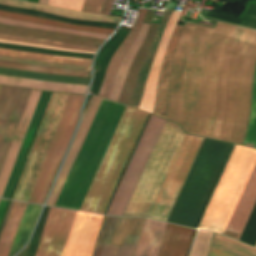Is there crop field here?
Returning a JSON list of instances; mask_svg holds the SVG:
<instances>
[{"label":"crop field","mask_w":256,"mask_h":256,"mask_svg":"<svg viewBox=\"0 0 256 256\" xmlns=\"http://www.w3.org/2000/svg\"><path fill=\"white\" fill-rule=\"evenodd\" d=\"M256 65V30L185 22L170 81L167 119L185 132L242 144ZM256 148V72L244 145Z\"/></svg>","instance_id":"crop-field-1"},{"label":"crop field","mask_w":256,"mask_h":256,"mask_svg":"<svg viewBox=\"0 0 256 256\" xmlns=\"http://www.w3.org/2000/svg\"><path fill=\"white\" fill-rule=\"evenodd\" d=\"M125 107L102 100L54 206L80 209Z\"/></svg>","instance_id":"crop-field-2"},{"label":"crop field","mask_w":256,"mask_h":256,"mask_svg":"<svg viewBox=\"0 0 256 256\" xmlns=\"http://www.w3.org/2000/svg\"><path fill=\"white\" fill-rule=\"evenodd\" d=\"M232 146L204 140L167 221L196 227Z\"/></svg>","instance_id":"crop-field-3"},{"label":"crop field","mask_w":256,"mask_h":256,"mask_svg":"<svg viewBox=\"0 0 256 256\" xmlns=\"http://www.w3.org/2000/svg\"><path fill=\"white\" fill-rule=\"evenodd\" d=\"M148 115L126 107L98 169L99 172L121 176ZM99 172L80 210L104 213L119 177Z\"/></svg>","instance_id":"crop-field-4"},{"label":"crop field","mask_w":256,"mask_h":256,"mask_svg":"<svg viewBox=\"0 0 256 256\" xmlns=\"http://www.w3.org/2000/svg\"><path fill=\"white\" fill-rule=\"evenodd\" d=\"M75 212L50 208L36 256H62ZM103 217L77 211L63 256H91Z\"/></svg>","instance_id":"crop-field-5"},{"label":"crop field","mask_w":256,"mask_h":256,"mask_svg":"<svg viewBox=\"0 0 256 256\" xmlns=\"http://www.w3.org/2000/svg\"><path fill=\"white\" fill-rule=\"evenodd\" d=\"M255 161V150L235 147L199 228L223 233Z\"/></svg>","instance_id":"crop-field-6"},{"label":"crop field","mask_w":256,"mask_h":256,"mask_svg":"<svg viewBox=\"0 0 256 256\" xmlns=\"http://www.w3.org/2000/svg\"><path fill=\"white\" fill-rule=\"evenodd\" d=\"M184 133L166 121L130 201L152 202ZM130 202L124 215L146 216L152 203Z\"/></svg>","instance_id":"crop-field-7"},{"label":"crop field","mask_w":256,"mask_h":256,"mask_svg":"<svg viewBox=\"0 0 256 256\" xmlns=\"http://www.w3.org/2000/svg\"><path fill=\"white\" fill-rule=\"evenodd\" d=\"M81 95L70 94L28 202L42 204L67 150L80 113Z\"/></svg>","instance_id":"crop-field-8"},{"label":"crop field","mask_w":256,"mask_h":256,"mask_svg":"<svg viewBox=\"0 0 256 256\" xmlns=\"http://www.w3.org/2000/svg\"><path fill=\"white\" fill-rule=\"evenodd\" d=\"M68 95L52 94L12 199L28 201Z\"/></svg>","instance_id":"crop-field-9"},{"label":"crop field","mask_w":256,"mask_h":256,"mask_svg":"<svg viewBox=\"0 0 256 256\" xmlns=\"http://www.w3.org/2000/svg\"><path fill=\"white\" fill-rule=\"evenodd\" d=\"M202 141L184 135L147 216L167 220Z\"/></svg>","instance_id":"crop-field-10"},{"label":"crop field","mask_w":256,"mask_h":256,"mask_svg":"<svg viewBox=\"0 0 256 256\" xmlns=\"http://www.w3.org/2000/svg\"><path fill=\"white\" fill-rule=\"evenodd\" d=\"M165 121L150 115L106 214H123Z\"/></svg>","instance_id":"crop-field-11"},{"label":"crop field","mask_w":256,"mask_h":256,"mask_svg":"<svg viewBox=\"0 0 256 256\" xmlns=\"http://www.w3.org/2000/svg\"><path fill=\"white\" fill-rule=\"evenodd\" d=\"M119 218L114 216L105 217L93 256H133L139 235L128 234V232L140 234L145 218L121 217L120 221ZM112 240L126 241V243L112 242Z\"/></svg>","instance_id":"crop-field-12"},{"label":"crop field","mask_w":256,"mask_h":256,"mask_svg":"<svg viewBox=\"0 0 256 256\" xmlns=\"http://www.w3.org/2000/svg\"><path fill=\"white\" fill-rule=\"evenodd\" d=\"M31 90L3 86L0 92V171Z\"/></svg>","instance_id":"crop-field-13"},{"label":"crop field","mask_w":256,"mask_h":256,"mask_svg":"<svg viewBox=\"0 0 256 256\" xmlns=\"http://www.w3.org/2000/svg\"><path fill=\"white\" fill-rule=\"evenodd\" d=\"M256 201V164L239 198L224 235L239 239Z\"/></svg>","instance_id":"crop-field-14"},{"label":"crop field","mask_w":256,"mask_h":256,"mask_svg":"<svg viewBox=\"0 0 256 256\" xmlns=\"http://www.w3.org/2000/svg\"><path fill=\"white\" fill-rule=\"evenodd\" d=\"M101 100L102 99L99 97H94V96L91 97L89 104L86 108V111L83 115L82 121L80 123L79 129L74 139L73 145L71 147L69 156L58 176V179L54 185V188L51 192V195L46 205H50V206L54 205Z\"/></svg>","instance_id":"crop-field-15"},{"label":"crop field","mask_w":256,"mask_h":256,"mask_svg":"<svg viewBox=\"0 0 256 256\" xmlns=\"http://www.w3.org/2000/svg\"><path fill=\"white\" fill-rule=\"evenodd\" d=\"M182 26L176 25L171 41L161 65L160 75L157 84L156 97L153 114L166 119L168 111L169 80L175 47L179 38Z\"/></svg>","instance_id":"crop-field-16"},{"label":"crop field","mask_w":256,"mask_h":256,"mask_svg":"<svg viewBox=\"0 0 256 256\" xmlns=\"http://www.w3.org/2000/svg\"><path fill=\"white\" fill-rule=\"evenodd\" d=\"M180 14H181V12H178V11L173 12L172 17L169 21V24L166 28V31L162 37V40L159 45L158 51L156 53L155 59L153 61L149 77L146 81L143 97H142L141 104H140L139 108L142 110L148 111L150 113L152 112V108H153L156 84H157L161 61L164 57L171 34L173 32V29L175 27V24L180 16Z\"/></svg>","instance_id":"crop-field-17"},{"label":"crop field","mask_w":256,"mask_h":256,"mask_svg":"<svg viewBox=\"0 0 256 256\" xmlns=\"http://www.w3.org/2000/svg\"><path fill=\"white\" fill-rule=\"evenodd\" d=\"M40 92L41 91L32 90L29 96L28 102L26 104L25 110L23 112L22 118L20 120L19 126L17 128L16 134L14 136L13 142L11 144L10 150L8 152L7 158L0 174V197L2 196V193L4 191L5 185L7 183L8 177L10 175L11 169L13 167L14 161L16 159L17 153L19 151L20 145L22 143Z\"/></svg>","instance_id":"crop-field-18"},{"label":"crop field","mask_w":256,"mask_h":256,"mask_svg":"<svg viewBox=\"0 0 256 256\" xmlns=\"http://www.w3.org/2000/svg\"><path fill=\"white\" fill-rule=\"evenodd\" d=\"M194 231L168 223L158 256H186Z\"/></svg>","instance_id":"crop-field-19"},{"label":"crop field","mask_w":256,"mask_h":256,"mask_svg":"<svg viewBox=\"0 0 256 256\" xmlns=\"http://www.w3.org/2000/svg\"><path fill=\"white\" fill-rule=\"evenodd\" d=\"M172 12H173L172 10H166V12L160 22V26L157 30L154 40L150 46V49L146 55V58L142 64V66H141L135 87L133 89L130 101L128 103L129 105H132L137 108L139 107L143 89H144V85H145V81L148 77L149 70H150L152 61L154 59L155 53L157 51L158 45L160 43L163 31L165 29V26L171 16Z\"/></svg>","instance_id":"crop-field-20"},{"label":"crop field","mask_w":256,"mask_h":256,"mask_svg":"<svg viewBox=\"0 0 256 256\" xmlns=\"http://www.w3.org/2000/svg\"><path fill=\"white\" fill-rule=\"evenodd\" d=\"M166 224L146 218L134 256H156Z\"/></svg>","instance_id":"crop-field-21"},{"label":"crop field","mask_w":256,"mask_h":256,"mask_svg":"<svg viewBox=\"0 0 256 256\" xmlns=\"http://www.w3.org/2000/svg\"><path fill=\"white\" fill-rule=\"evenodd\" d=\"M146 12H147V10H144V9L139 10L137 19L133 25V28H132L130 34L121 43V45L119 46V48L113 55L109 65H108L99 96H103L106 98L108 97V94H109L113 79L115 77L117 68H118L121 60L123 59L125 53L127 52L128 48L130 47L131 43L135 39Z\"/></svg>","instance_id":"crop-field-22"},{"label":"crop field","mask_w":256,"mask_h":256,"mask_svg":"<svg viewBox=\"0 0 256 256\" xmlns=\"http://www.w3.org/2000/svg\"><path fill=\"white\" fill-rule=\"evenodd\" d=\"M27 204L10 202L0 229V256H7Z\"/></svg>","instance_id":"crop-field-23"},{"label":"crop field","mask_w":256,"mask_h":256,"mask_svg":"<svg viewBox=\"0 0 256 256\" xmlns=\"http://www.w3.org/2000/svg\"><path fill=\"white\" fill-rule=\"evenodd\" d=\"M0 32L21 35V36H28V37L53 39V40H59V41L68 42V43H75V44L95 46V47H99L103 42L102 40H97V39H92L87 37H80V36L41 31V30L16 28V27L4 26V25H0Z\"/></svg>","instance_id":"crop-field-24"},{"label":"crop field","mask_w":256,"mask_h":256,"mask_svg":"<svg viewBox=\"0 0 256 256\" xmlns=\"http://www.w3.org/2000/svg\"><path fill=\"white\" fill-rule=\"evenodd\" d=\"M0 4L12 5L20 8H28V9H35L40 10L68 18L73 19H81V20H89V21H107V22H115L118 23L120 18L106 16V15H98V14H91V13H84L72 10H66L61 8L49 7L35 3L17 1V0H0Z\"/></svg>","instance_id":"crop-field-25"},{"label":"crop field","mask_w":256,"mask_h":256,"mask_svg":"<svg viewBox=\"0 0 256 256\" xmlns=\"http://www.w3.org/2000/svg\"><path fill=\"white\" fill-rule=\"evenodd\" d=\"M157 24H151L146 37L139 49V51L137 52L131 67H130V71L126 77V81L124 83L123 89L121 91L120 97H119V102H123V103H128V100L130 98L132 89L134 87L140 66L144 60V57L149 49V46L153 40L154 34L156 32L157 29Z\"/></svg>","instance_id":"crop-field-26"},{"label":"crop field","mask_w":256,"mask_h":256,"mask_svg":"<svg viewBox=\"0 0 256 256\" xmlns=\"http://www.w3.org/2000/svg\"><path fill=\"white\" fill-rule=\"evenodd\" d=\"M0 84L41 89V90H49V91L80 93V94H85L88 87L83 85L52 83V82L29 80V79H22V78L7 77V76H0Z\"/></svg>","instance_id":"crop-field-27"},{"label":"crop field","mask_w":256,"mask_h":256,"mask_svg":"<svg viewBox=\"0 0 256 256\" xmlns=\"http://www.w3.org/2000/svg\"><path fill=\"white\" fill-rule=\"evenodd\" d=\"M150 25H146L143 24L141 27V30L138 34V36L136 37V39L134 40V42L132 43L131 47L129 48L127 54L125 55L124 59L122 60L119 69L117 71L115 80L113 82L110 94H109V99H113V100H118L127 70L137 52V50L139 49L145 34L148 30Z\"/></svg>","instance_id":"crop-field-28"},{"label":"crop field","mask_w":256,"mask_h":256,"mask_svg":"<svg viewBox=\"0 0 256 256\" xmlns=\"http://www.w3.org/2000/svg\"><path fill=\"white\" fill-rule=\"evenodd\" d=\"M0 75L52 81V82H61V83L83 84V85H88L90 81V78H85V77L54 75V74H46V73H39V72H32V71L2 68V67H0Z\"/></svg>","instance_id":"crop-field-29"},{"label":"crop field","mask_w":256,"mask_h":256,"mask_svg":"<svg viewBox=\"0 0 256 256\" xmlns=\"http://www.w3.org/2000/svg\"><path fill=\"white\" fill-rule=\"evenodd\" d=\"M0 16L1 17H6V18L17 19V20H23V21L53 25V26L71 28V29L85 30V31H91V32L106 33V34H111L112 31H113L111 29L98 28V27L70 25V24H65V23L45 19V18L27 16V15L15 14V13H9V12H4V11H0Z\"/></svg>","instance_id":"crop-field-30"},{"label":"crop field","mask_w":256,"mask_h":256,"mask_svg":"<svg viewBox=\"0 0 256 256\" xmlns=\"http://www.w3.org/2000/svg\"><path fill=\"white\" fill-rule=\"evenodd\" d=\"M212 247L235 256H256V249L215 233Z\"/></svg>","instance_id":"crop-field-31"},{"label":"crop field","mask_w":256,"mask_h":256,"mask_svg":"<svg viewBox=\"0 0 256 256\" xmlns=\"http://www.w3.org/2000/svg\"><path fill=\"white\" fill-rule=\"evenodd\" d=\"M0 55H8V56L56 61V62L86 64V65H90L91 61H92V60H87V59L58 57V56L43 55V54H36V53H29V52L15 51V50H7V49H0Z\"/></svg>","instance_id":"crop-field-32"},{"label":"crop field","mask_w":256,"mask_h":256,"mask_svg":"<svg viewBox=\"0 0 256 256\" xmlns=\"http://www.w3.org/2000/svg\"><path fill=\"white\" fill-rule=\"evenodd\" d=\"M0 23L19 26V27L36 28V29L63 32V33L81 35V36H88V37H94V38H99V39H103V40H106V38L108 37V35H105V34L72 31V30H66V29H61V28H57V27H51V26H45V25H39V24H32V23L8 20V19H3V18H0Z\"/></svg>","instance_id":"crop-field-33"},{"label":"crop field","mask_w":256,"mask_h":256,"mask_svg":"<svg viewBox=\"0 0 256 256\" xmlns=\"http://www.w3.org/2000/svg\"><path fill=\"white\" fill-rule=\"evenodd\" d=\"M0 66L9 67V68L24 69V70L39 71V72H46V73H54V74L90 77V72H85V71L55 69V68H47V67H40V66H33V65L8 63V62H2V61H0Z\"/></svg>","instance_id":"crop-field-34"},{"label":"crop field","mask_w":256,"mask_h":256,"mask_svg":"<svg viewBox=\"0 0 256 256\" xmlns=\"http://www.w3.org/2000/svg\"><path fill=\"white\" fill-rule=\"evenodd\" d=\"M0 39L43 44V45H48V46H53V47H58V48L74 49V50H82V51L96 52V50H97V48H95V47L73 45V44H66V43H59V42H53V41L31 39V38H23V37L9 36V35H1V34H0ZM94 48H95V50H94Z\"/></svg>","instance_id":"crop-field-35"},{"label":"crop field","mask_w":256,"mask_h":256,"mask_svg":"<svg viewBox=\"0 0 256 256\" xmlns=\"http://www.w3.org/2000/svg\"><path fill=\"white\" fill-rule=\"evenodd\" d=\"M0 60L18 62V63H26V64H34V65H41V66H48V67H55V68L90 71V66H85V65L56 63V62H48V61L8 57V56H0Z\"/></svg>","instance_id":"crop-field-36"},{"label":"crop field","mask_w":256,"mask_h":256,"mask_svg":"<svg viewBox=\"0 0 256 256\" xmlns=\"http://www.w3.org/2000/svg\"><path fill=\"white\" fill-rule=\"evenodd\" d=\"M213 232L198 230L190 256H206Z\"/></svg>","instance_id":"crop-field-37"},{"label":"crop field","mask_w":256,"mask_h":256,"mask_svg":"<svg viewBox=\"0 0 256 256\" xmlns=\"http://www.w3.org/2000/svg\"><path fill=\"white\" fill-rule=\"evenodd\" d=\"M83 1L84 0H49L48 5L80 11Z\"/></svg>","instance_id":"crop-field-38"},{"label":"crop field","mask_w":256,"mask_h":256,"mask_svg":"<svg viewBox=\"0 0 256 256\" xmlns=\"http://www.w3.org/2000/svg\"><path fill=\"white\" fill-rule=\"evenodd\" d=\"M112 5L113 0H100L95 13L109 15Z\"/></svg>","instance_id":"crop-field-39"},{"label":"crop field","mask_w":256,"mask_h":256,"mask_svg":"<svg viewBox=\"0 0 256 256\" xmlns=\"http://www.w3.org/2000/svg\"><path fill=\"white\" fill-rule=\"evenodd\" d=\"M98 1L99 0H85L81 11L94 13Z\"/></svg>","instance_id":"crop-field-40"},{"label":"crop field","mask_w":256,"mask_h":256,"mask_svg":"<svg viewBox=\"0 0 256 256\" xmlns=\"http://www.w3.org/2000/svg\"><path fill=\"white\" fill-rule=\"evenodd\" d=\"M0 42L15 43V44H22V45H28V46H34V47H41V48H49V49H57V50H65V49H58V48H53V47L41 46V45L26 44V43H18V42H10V41H2V40H0ZM65 51H72V52H80V53H90V54H94V53H91V52H82V51H74V50H65Z\"/></svg>","instance_id":"crop-field-41"},{"label":"crop field","mask_w":256,"mask_h":256,"mask_svg":"<svg viewBox=\"0 0 256 256\" xmlns=\"http://www.w3.org/2000/svg\"><path fill=\"white\" fill-rule=\"evenodd\" d=\"M208 256H232V255L224 253L222 251H219L211 247Z\"/></svg>","instance_id":"crop-field-42"},{"label":"crop field","mask_w":256,"mask_h":256,"mask_svg":"<svg viewBox=\"0 0 256 256\" xmlns=\"http://www.w3.org/2000/svg\"><path fill=\"white\" fill-rule=\"evenodd\" d=\"M8 202L9 201H7V200H3V199L0 200V223H1V220L3 218V215H4V212L6 210Z\"/></svg>","instance_id":"crop-field-43"},{"label":"crop field","mask_w":256,"mask_h":256,"mask_svg":"<svg viewBox=\"0 0 256 256\" xmlns=\"http://www.w3.org/2000/svg\"><path fill=\"white\" fill-rule=\"evenodd\" d=\"M39 3L47 5L48 0H40Z\"/></svg>","instance_id":"crop-field-44"},{"label":"crop field","mask_w":256,"mask_h":256,"mask_svg":"<svg viewBox=\"0 0 256 256\" xmlns=\"http://www.w3.org/2000/svg\"><path fill=\"white\" fill-rule=\"evenodd\" d=\"M2 86H0V89H1Z\"/></svg>","instance_id":"crop-field-45"}]
</instances>
